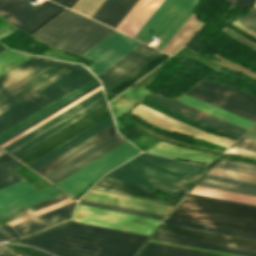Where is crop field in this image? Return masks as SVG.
I'll use <instances>...</instances> for the list:
<instances>
[{
	"instance_id": "crop-field-8",
	"label": "crop field",
	"mask_w": 256,
	"mask_h": 256,
	"mask_svg": "<svg viewBox=\"0 0 256 256\" xmlns=\"http://www.w3.org/2000/svg\"><path fill=\"white\" fill-rule=\"evenodd\" d=\"M186 94L256 122V97L222 83L200 81Z\"/></svg>"
},
{
	"instance_id": "crop-field-2",
	"label": "crop field",
	"mask_w": 256,
	"mask_h": 256,
	"mask_svg": "<svg viewBox=\"0 0 256 256\" xmlns=\"http://www.w3.org/2000/svg\"><path fill=\"white\" fill-rule=\"evenodd\" d=\"M147 237L70 222L20 243L58 256H133Z\"/></svg>"
},
{
	"instance_id": "crop-field-57",
	"label": "crop field",
	"mask_w": 256,
	"mask_h": 256,
	"mask_svg": "<svg viewBox=\"0 0 256 256\" xmlns=\"http://www.w3.org/2000/svg\"><path fill=\"white\" fill-rule=\"evenodd\" d=\"M248 137H252V138H256V129L254 131H252L249 135H247Z\"/></svg>"
},
{
	"instance_id": "crop-field-10",
	"label": "crop field",
	"mask_w": 256,
	"mask_h": 256,
	"mask_svg": "<svg viewBox=\"0 0 256 256\" xmlns=\"http://www.w3.org/2000/svg\"><path fill=\"white\" fill-rule=\"evenodd\" d=\"M72 221L147 235H150L161 222L160 220L80 205L77 206Z\"/></svg>"
},
{
	"instance_id": "crop-field-60",
	"label": "crop field",
	"mask_w": 256,
	"mask_h": 256,
	"mask_svg": "<svg viewBox=\"0 0 256 256\" xmlns=\"http://www.w3.org/2000/svg\"><path fill=\"white\" fill-rule=\"evenodd\" d=\"M255 7H256V5H255Z\"/></svg>"
},
{
	"instance_id": "crop-field-30",
	"label": "crop field",
	"mask_w": 256,
	"mask_h": 256,
	"mask_svg": "<svg viewBox=\"0 0 256 256\" xmlns=\"http://www.w3.org/2000/svg\"><path fill=\"white\" fill-rule=\"evenodd\" d=\"M201 24L202 23H200L192 13L185 23L180 27V29L175 33V35L170 39V41L165 45L162 51L173 55L188 42Z\"/></svg>"
},
{
	"instance_id": "crop-field-21",
	"label": "crop field",
	"mask_w": 256,
	"mask_h": 256,
	"mask_svg": "<svg viewBox=\"0 0 256 256\" xmlns=\"http://www.w3.org/2000/svg\"><path fill=\"white\" fill-rule=\"evenodd\" d=\"M108 115H110L108 107H105L18 160L27 165Z\"/></svg>"
},
{
	"instance_id": "crop-field-50",
	"label": "crop field",
	"mask_w": 256,
	"mask_h": 256,
	"mask_svg": "<svg viewBox=\"0 0 256 256\" xmlns=\"http://www.w3.org/2000/svg\"><path fill=\"white\" fill-rule=\"evenodd\" d=\"M22 0H0V15L2 16Z\"/></svg>"
},
{
	"instance_id": "crop-field-29",
	"label": "crop field",
	"mask_w": 256,
	"mask_h": 256,
	"mask_svg": "<svg viewBox=\"0 0 256 256\" xmlns=\"http://www.w3.org/2000/svg\"><path fill=\"white\" fill-rule=\"evenodd\" d=\"M114 132H116L115 127L114 125H111L108 128L101 131L100 133L96 134L95 136L91 137L90 139L86 140L80 145L76 146L72 150L68 151L67 153L63 154L62 156L58 157L52 162L48 163L44 167L40 169L38 168L39 170L35 172L39 173L42 176L47 174L48 172L52 171L56 167L75 157L79 153L83 152L84 150L88 149L89 147L93 146L94 144L98 143L99 141L103 140L104 138H106L107 136L111 135Z\"/></svg>"
},
{
	"instance_id": "crop-field-3",
	"label": "crop field",
	"mask_w": 256,
	"mask_h": 256,
	"mask_svg": "<svg viewBox=\"0 0 256 256\" xmlns=\"http://www.w3.org/2000/svg\"><path fill=\"white\" fill-rule=\"evenodd\" d=\"M206 168L142 153L103 178L151 187L173 196L175 192L186 194Z\"/></svg>"
},
{
	"instance_id": "crop-field-31",
	"label": "crop field",
	"mask_w": 256,
	"mask_h": 256,
	"mask_svg": "<svg viewBox=\"0 0 256 256\" xmlns=\"http://www.w3.org/2000/svg\"><path fill=\"white\" fill-rule=\"evenodd\" d=\"M148 94L149 92L145 91L143 87L137 90L130 87L109 103L113 117L122 115Z\"/></svg>"
},
{
	"instance_id": "crop-field-37",
	"label": "crop field",
	"mask_w": 256,
	"mask_h": 256,
	"mask_svg": "<svg viewBox=\"0 0 256 256\" xmlns=\"http://www.w3.org/2000/svg\"><path fill=\"white\" fill-rule=\"evenodd\" d=\"M30 57H32V55L8 49L3 51L0 53V75L29 59Z\"/></svg>"
},
{
	"instance_id": "crop-field-49",
	"label": "crop field",
	"mask_w": 256,
	"mask_h": 256,
	"mask_svg": "<svg viewBox=\"0 0 256 256\" xmlns=\"http://www.w3.org/2000/svg\"><path fill=\"white\" fill-rule=\"evenodd\" d=\"M150 241H151V242H156V243H162V244L172 245V246H178V247L188 248V249H194V250L204 251V252H210V253H215V254H220V255L238 256V255H233V254H228V253H222V252H217V251H212V250H206V249H201V248H196V247H190V246H185V245H180V244H174V243H169V242H164V241H158V240H153V239H150Z\"/></svg>"
},
{
	"instance_id": "crop-field-39",
	"label": "crop field",
	"mask_w": 256,
	"mask_h": 256,
	"mask_svg": "<svg viewBox=\"0 0 256 256\" xmlns=\"http://www.w3.org/2000/svg\"><path fill=\"white\" fill-rule=\"evenodd\" d=\"M174 2L175 0H165L163 4L158 8V10L147 21V23L142 27V29L137 33L135 38L142 41Z\"/></svg>"
},
{
	"instance_id": "crop-field-24",
	"label": "crop field",
	"mask_w": 256,
	"mask_h": 256,
	"mask_svg": "<svg viewBox=\"0 0 256 256\" xmlns=\"http://www.w3.org/2000/svg\"><path fill=\"white\" fill-rule=\"evenodd\" d=\"M73 203L15 225L13 228L21 237H24L54 224L65 221L69 218Z\"/></svg>"
},
{
	"instance_id": "crop-field-33",
	"label": "crop field",
	"mask_w": 256,
	"mask_h": 256,
	"mask_svg": "<svg viewBox=\"0 0 256 256\" xmlns=\"http://www.w3.org/2000/svg\"><path fill=\"white\" fill-rule=\"evenodd\" d=\"M93 187L99 188V189L115 191V192H120V193L136 195V196L150 198V199H154V200H156L158 198H160L162 200L165 199L163 197L153 194L149 190V188L130 185V184H124V183H119V182H114V181H109V180H104V179H101Z\"/></svg>"
},
{
	"instance_id": "crop-field-41",
	"label": "crop field",
	"mask_w": 256,
	"mask_h": 256,
	"mask_svg": "<svg viewBox=\"0 0 256 256\" xmlns=\"http://www.w3.org/2000/svg\"><path fill=\"white\" fill-rule=\"evenodd\" d=\"M98 86H100V83L95 84L94 86L90 87L89 89L85 90L84 92L80 93L79 95L75 96L74 98L70 99L69 101L65 102L64 104L60 105L59 107L55 108L54 110L50 111L46 115L42 116L41 118L37 119L36 121L32 122L31 124L27 125L26 127L22 128L21 130L17 131L16 133L7 137L6 139L2 140L0 142V145H2L5 142L9 141L10 139L14 138L15 136L19 135L20 133L24 132L28 128L32 127L33 125L37 124L38 122H40L43 119L47 118L48 116L52 115L53 113L57 112L58 110L62 109L65 106H67L68 104L72 103L76 99L80 98L81 96L85 95L86 93L90 92L91 90L95 89Z\"/></svg>"
},
{
	"instance_id": "crop-field-6",
	"label": "crop field",
	"mask_w": 256,
	"mask_h": 256,
	"mask_svg": "<svg viewBox=\"0 0 256 256\" xmlns=\"http://www.w3.org/2000/svg\"><path fill=\"white\" fill-rule=\"evenodd\" d=\"M105 105L99 90L3 149L17 158Z\"/></svg>"
},
{
	"instance_id": "crop-field-44",
	"label": "crop field",
	"mask_w": 256,
	"mask_h": 256,
	"mask_svg": "<svg viewBox=\"0 0 256 256\" xmlns=\"http://www.w3.org/2000/svg\"><path fill=\"white\" fill-rule=\"evenodd\" d=\"M101 89V87L96 88L95 90L91 91L90 93L86 94L85 96L81 97L80 99L76 100L75 102H73L72 104L68 105L67 107L63 108L62 110L58 111L57 113L53 114L52 116L48 117L47 119L43 120L42 122L38 123L37 125L33 126L32 128L28 129L27 131H25L24 133L20 134L19 136L15 137L14 139L10 140L9 142L5 143L4 145L0 146V147H5L8 144L12 143L13 141L17 140L18 138H20L21 136L25 135L26 133L30 132L31 130L35 129L36 127L40 126L41 124L45 123L46 121L50 120L51 118H53L54 116L58 115L59 113L63 112L64 110L68 109L69 107L73 106L74 104L78 103L79 101L83 100L84 98H86L87 96L91 95L92 93L96 92L97 90ZM98 92V91H97ZM93 95V94H92ZM88 98V97H87Z\"/></svg>"
},
{
	"instance_id": "crop-field-20",
	"label": "crop field",
	"mask_w": 256,
	"mask_h": 256,
	"mask_svg": "<svg viewBox=\"0 0 256 256\" xmlns=\"http://www.w3.org/2000/svg\"><path fill=\"white\" fill-rule=\"evenodd\" d=\"M159 232H165L175 235H181L186 237H192L202 240H208L213 242H219L224 244H230L240 247H246L251 249H256V240L246 239V238H240L225 234H219L209 231H203L193 228H187L177 225H171L163 223L162 226L158 230Z\"/></svg>"
},
{
	"instance_id": "crop-field-58",
	"label": "crop field",
	"mask_w": 256,
	"mask_h": 256,
	"mask_svg": "<svg viewBox=\"0 0 256 256\" xmlns=\"http://www.w3.org/2000/svg\"><path fill=\"white\" fill-rule=\"evenodd\" d=\"M5 49H7V48H5L4 46H2V45L0 44V52L3 51V50H5Z\"/></svg>"
},
{
	"instance_id": "crop-field-42",
	"label": "crop field",
	"mask_w": 256,
	"mask_h": 256,
	"mask_svg": "<svg viewBox=\"0 0 256 256\" xmlns=\"http://www.w3.org/2000/svg\"><path fill=\"white\" fill-rule=\"evenodd\" d=\"M104 1L105 0H78L72 10L91 18Z\"/></svg>"
},
{
	"instance_id": "crop-field-56",
	"label": "crop field",
	"mask_w": 256,
	"mask_h": 256,
	"mask_svg": "<svg viewBox=\"0 0 256 256\" xmlns=\"http://www.w3.org/2000/svg\"><path fill=\"white\" fill-rule=\"evenodd\" d=\"M10 158H12V157L7 155V154H5L3 156H0V162L5 161V160L10 159Z\"/></svg>"
},
{
	"instance_id": "crop-field-36",
	"label": "crop field",
	"mask_w": 256,
	"mask_h": 256,
	"mask_svg": "<svg viewBox=\"0 0 256 256\" xmlns=\"http://www.w3.org/2000/svg\"><path fill=\"white\" fill-rule=\"evenodd\" d=\"M203 196L256 205V197L195 186L191 192Z\"/></svg>"
},
{
	"instance_id": "crop-field-40",
	"label": "crop field",
	"mask_w": 256,
	"mask_h": 256,
	"mask_svg": "<svg viewBox=\"0 0 256 256\" xmlns=\"http://www.w3.org/2000/svg\"><path fill=\"white\" fill-rule=\"evenodd\" d=\"M78 204L101 208V209L112 210V211H117V212H123V213H128V214H133V215H139V216H144V217H149V218H155V219H160V220H163V218H164L163 215L152 214V213H147V212H142V211H136V210L126 209V208H120V207H115V206H110V205H104V204H99V203H94V202L83 201V200H80Z\"/></svg>"
},
{
	"instance_id": "crop-field-13",
	"label": "crop field",
	"mask_w": 256,
	"mask_h": 256,
	"mask_svg": "<svg viewBox=\"0 0 256 256\" xmlns=\"http://www.w3.org/2000/svg\"><path fill=\"white\" fill-rule=\"evenodd\" d=\"M160 51L142 43L99 76L104 92H107Z\"/></svg>"
},
{
	"instance_id": "crop-field-48",
	"label": "crop field",
	"mask_w": 256,
	"mask_h": 256,
	"mask_svg": "<svg viewBox=\"0 0 256 256\" xmlns=\"http://www.w3.org/2000/svg\"><path fill=\"white\" fill-rule=\"evenodd\" d=\"M17 238L20 237L15 233V231L11 227H0V241H6Z\"/></svg>"
},
{
	"instance_id": "crop-field-47",
	"label": "crop field",
	"mask_w": 256,
	"mask_h": 256,
	"mask_svg": "<svg viewBox=\"0 0 256 256\" xmlns=\"http://www.w3.org/2000/svg\"><path fill=\"white\" fill-rule=\"evenodd\" d=\"M235 148L256 152V139L245 137L241 140Z\"/></svg>"
},
{
	"instance_id": "crop-field-15",
	"label": "crop field",
	"mask_w": 256,
	"mask_h": 256,
	"mask_svg": "<svg viewBox=\"0 0 256 256\" xmlns=\"http://www.w3.org/2000/svg\"><path fill=\"white\" fill-rule=\"evenodd\" d=\"M199 0H176L144 41L150 42L154 35L161 38L158 48L162 49L173 34L179 29L189 15L194 11Z\"/></svg>"
},
{
	"instance_id": "crop-field-51",
	"label": "crop field",
	"mask_w": 256,
	"mask_h": 256,
	"mask_svg": "<svg viewBox=\"0 0 256 256\" xmlns=\"http://www.w3.org/2000/svg\"><path fill=\"white\" fill-rule=\"evenodd\" d=\"M226 154H232V155H237V156H242V157H247V158H252L256 159V153L248 152V151H243L235 148L228 149Z\"/></svg>"
},
{
	"instance_id": "crop-field-59",
	"label": "crop field",
	"mask_w": 256,
	"mask_h": 256,
	"mask_svg": "<svg viewBox=\"0 0 256 256\" xmlns=\"http://www.w3.org/2000/svg\"><path fill=\"white\" fill-rule=\"evenodd\" d=\"M3 154H5V153H4L3 151H1V150H0V155H3Z\"/></svg>"
},
{
	"instance_id": "crop-field-12",
	"label": "crop field",
	"mask_w": 256,
	"mask_h": 256,
	"mask_svg": "<svg viewBox=\"0 0 256 256\" xmlns=\"http://www.w3.org/2000/svg\"><path fill=\"white\" fill-rule=\"evenodd\" d=\"M62 193L51 186L37 192L25 180L0 189V217Z\"/></svg>"
},
{
	"instance_id": "crop-field-32",
	"label": "crop field",
	"mask_w": 256,
	"mask_h": 256,
	"mask_svg": "<svg viewBox=\"0 0 256 256\" xmlns=\"http://www.w3.org/2000/svg\"><path fill=\"white\" fill-rule=\"evenodd\" d=\"M138 256H220L148 242Z\"/></svg>"
},
{
	"instance_id": "crop-field-35",
	"label": "crop field",
	"mask_w": 256,
	"mask_h": 256,
	"mask_svg": "<svg viewBox=\"0 0 256 256\" xmlns=\"http://www.w3.org/2000/svg\"><path fill=\"white\" fill-rule=\"evenodd\" d=\"M97 82L99 81L96 78L91 80L90 82L86 83L85 85L81 86L80 88L76 89L70 94L64 96L63 98L59 99L58 101L54 102L53 104L49 105L48 107L44 108L43 110L29 117L28 119L24 120L18 125L2 133L0 135V141L6 138L7 136L11 135L12 133L16 132L17 130L21 129L22 127L26 126L27 124L31 123L32 121L36 120L37 118L41 117L42 115L46 114L47 112L54 109L55 107L59 106L60 104L64 103L65 101L69 100L70 98L74 97L75 95L79 94L80 92L84 91L85 89L89 88L90 86L94 85Z\"/></svg>"
},
{
	"instance_id": "crop-field-9",
	"label": "crop field",
	"mask_w": 256,
	"mask_h": 256,
	"mask_svg": "<svg viewBox=\"0 0 256 256\" xmlns=\"http://www.w3.org/2000/svg\"><path fill=\"white\" fill-rule=\"evenodd\" d=\"M137 153L130 144L124 142L54 185L73 197L85 190L93 180Z\"/></svg>"
},
{
	"instance_id": "crop-field-28",
	"label": "crop field",
	"mask_w": 256,
	"mask_h": 256,
	"mask_svg": "<svg viewBox=\"0 0 256 256\" xmlns=\"http://www.w3.org/2000/svg\"><path fill=\"white\" fill-rule=\"evenodd\" d=\"M173 100L178 101L180 103H183L185 105H188L190 107H193L195 109H198L200 111H203L205 113H208L210 115H213L215 117H218L220 119H223V120H225L227 122H230V123H232L234 125L242 127V128H244L246 130H248L253 125H255V123H253V122H250V121H248L246 119H243V118L238 117V116H236L234 114L226 112V111H224L222 109L214 107V106H212L210 104L202 102V101H200L198 99L190 97V96H188L186 94H183V95H181V96H179V97H177V98H175Z\"/></svg>"
},
{
	"instance_id": "crop-field-14",
	"label": "crop field",
	"mask_w": 256,
	"mask_h": 256,
	"mask_svg": "<svg viewBox=\"0 0 256 256\" xmlns=\"http://www.w3.org/2000/svg\"><path fill=\"white\" fill-rule=\"evenodd\" d=\"M132 113H134L138 117L144 119L145 121H147L155 126H158V127H161V128L173 131V132L197 137V138L204 139V140L214 142V143H217L220 145H224L227 147H229L231 144H233L235 142V140H231L228 138H224L221 136H217L214 134L204 132L202 130H199L190 125H187L185 123H182L180 121L172 119L168 116H165L163 114H160L158 112L150 110L141 105H139L135 109H133Z\"/></svg>"
},
{
	"instance_id": "crop-field-38",
	"label": "crop field",
	"mask_w": 256,
	"mask_h": 256,
	"mask_svg": "<svg viewBox=\"0 0 256 256\" xmlns=\"http://www.w3.org/2000/svg\"><path fill=\"white\" fill-rule=\"evenodd\" d=\"M19 164L21 163L14 158L0 163V188L23 180L22 177L14 172L15 170L11 169Z\"/></svg>"
},
{
	"instance_id": "crop-field-52",
	"label": "crop field",
	"mask_w": 256,
	"mask_h": 256,
	"mask_svg": "<svg viewBox=\"0 0 256 256\" xmlns=\"http://www.w3.org/2000/svg\"><path fill=\"white\" fill-rule=\"evenodd\" d=\"M235 5L244 6L250 8L253 0H227Z\"/></svg>"
},
{
	"instance_id": "crop-field-4",
	"label": "crop field",
	"mask_w": 256,
	"mask_h": 256,
	"mask_svg": "<svg viewBox=\"0 0 256 256\" xmlns=\"http://www.w3.org/2000/svg\"><path fill=\"white\" fill-rule=\"evenodd\" d=\"M170 219L256 234V206L189 194Z\"/></svg>"
},
{
	"instance_id": "crop-field-27",
	"label": "crop field",
	"mask_w": 256,
	"mask_h": 256,
	"mask_svg": "<svg viewBox=\"0 0 256 256\" xmlns=\"http://www.w3.org/2000/svg\"><path fill=\"white\" fill-rule=\"evenodd\" d=\"M137 1L138 0H106L92 19L115 28Z\"/></svg>"
},
{
	"instance_id": "crop-field-55",
	"label": "crop field",
	"mask_w": 256,
	"mask_h": 256,
	"mask_svg": "<svg viewBox=\"0 0 256 256\" xmlns=\"http://www.w3.org/2000/svg\"><path fill=\"white\" fill-rule=\"evenodd\" d=\"M75 0H54V2H57V3H59V4H62V5H64V6H66V7H70L71 6V4L74 2Z\"/></svg>"
},
{
	"instance_id": "crop-field-11",
	"label": "crop field",
	"mask_w": 256,
	"mask_h": 256,
	"mask_svg": "<svg viewBox=\"0 0 256 256\" xmlns=\"http://www.w3.org/2000/svg\"><path fill=\"white\" fill-rule=\"evenodd\" d=\"M140 43L135 39L115 31L85 53L83 57L95 61L87 68L97 76Z\"/></svg>"
},
{
	"instance_id": "crop-field-26",
	"label": "crop field",
	"mask_w": 256,
	"mask_h": 256,
	"mask_svg": "<svg viewBox=\"0 0 256 256\" xmlns=\"http://www.w3.org/2000/svg\"><path fill=\"white\" fill-rule=\"evenodd\" d=\"M152 238L158 239V240L174 242V243L190 245V246L206 248V249H212V250H217V251H222V252H228V253H233V254H238V255L256 256V250L240 248V247H235V246H230V245H224V244H219V243H213V242H208V241H202V240L186 238V237H181V236H175V235H170V234H165V233L156 232Z\"/></svg>"
},
{
	"instance_id": "crop-field-5",
	"label": "crop field",
	"mask_w": 256,
	"mask_h": 256,
	"mask_svg": "<svg viewBox=\"0 0 256 256\" xmlns=\"http://www.w3.org/2000/svg\"><path fill=\"white\" fill-rule=\"evenodd\" d=\"M113 31L66 9L31 35L58 50L81 56Z\"/></svg>"
},
{
	"instance_id": "crop-field-53",
	"label": "crop field",
	"mask_w": 256,
	"mask_h": 256,
	"mask_svg": "<svg viewBox=\"0 0 256 256\" xmlns=\"http://www.w3.org/2000/svg\"><path fill=\"white\" fill-rule=\"evenodd\" d=\"M233 25H235L236 27H238L239 29L243 30L244 32H246L247 34L251 35L252 37L256 38V33L253 32L252 30L248 29L247 27L241 25L240 23L238 22H233L231 23Z\"/></svg>"
},
{
	"instance_id": "crop-field-22",
	"label": "crop field",
	"mask_w": 256,
	"mask_h": 256,
	"mask_svg": "<svg viewBox=\"0 0 256 256\" xmlns=\"http://www.w3.org/2000/svg\"><path fill=\"white\" fill-rule=\"evenodd\" d=\"M164 0H139L116 29L135 36Z\"/></svg>"
},
{
	"instance_id": "crop-field-19",
	"label": "crop field",
	"mask_w": 256,
	"mask_h": 256,
	"mask_svg": "<svg viewBox=\"0 0 256 256\" xmlns=\"http://www.w3.org/2000/svg\"><path fill=\"white\" fill-rule=\"evenodd\" d=\"M148 100L155 102L159 105H162L168 109H171L175 112H178L180 114H183L187 117H190L192 119H195L197 121H200L204 124H207L209 126H212L216 129H219L221 131H224L226 133H229L233 136H236L238 138H240L241 136H243L245 133H247V131L242 130L238 127H235L233 125H230L226 122H223L222 120L215 118L213 116H210L208 114H205L203 112H200L198 110H195L193 108H190L188 106H185L183 104H180L178 102H175L173 100L170 99H166L162 96L159 95H155V94H151L150 97L148 98Z\"/></svg>"
},
{
	"instance_id": "crop-field-45",
	"label": "crop field",
	"mask_w": 256,
	"mask_h": 256,
	"mask_svg": "<svg viewBox=\"0 0 256 256\" xmlns=\"http://www.w3.org/2000/svg\"><path fill=\"white\" fill-rule=\"evenodd\" d=\"M66 198H68V196H66L64 193H62V194H60V195H57V196L52 197V198H49V199L44 200V201H42V202H39V203H37V204L31 205V206L27 207L26 209H23V211H24L26 214H28V213H30V212H33V211H35V210H38V209L43 208V207H45V206L51 205V204H53V203H56V202H58V201H61V200H63V199H66Z\"/></svg>"
},
{
	"instance_id": "crop-field-18",
	"label": "crop field",
	"mask_w": 256,
	"mask_h": 256,
	"mask_svg": "<svg viewBox=\"0 0 256 256\" xmlns=\"http://www.w3.org/2000/svg\"><path fill=\"white\" fill-rule=\"evenodd\" d=\"M123 141H125V139L116 132L73 160L43 177L54 184Z\"/></svg>"
},
{
	"instance_id": "crop-field-34",
	"label": "crop field",
	"mask_w": 256,
	"mask_h": 256,
	"mask_svg": "<svg viewBox=\"0 0 256 256\" xmlns=\"http://www.w3.org/2000/svg\"><path fill=\"white\" fill-rule=\"evenodd\" d=\"M168 57H169L168 55H166L162 52L159 53L157 56H155L153 59H151L145 65L140 67L138 70H136L130 76H128L126 79L121 81L119 84H117L111 90H109L107 93L114 94V95L120 94L122 91H124L126 88H128L130 85H132L134 82H136L138 79H140L142 76H144L146 73H148L150 70H152L154 67H156L158 64H160L162 61H164Z\"/></svg>"
},
{
	"instance_id": "crop-field-7",
	"label": "crop field",
	"mask_w": 256,
	"mask_h": 256,
	"mask_svg": "<svg viewBox=\"0 0 256 256\" xmlns=\"http://www.w3.org/2000/svg\"><path fill=\"white\" fill-rule=\"evenodd\" d=\"M197 185L256 196V165L219 159Z\"/></svg>"
},
{
	"instance_id": "crop-field-43",
	"label": "crop field",
	"mask_w": 256,
	"mask_h": 256,
	"mask_svg": "<svg viewBox=\"0 0 256 256\" xmlns=\"http://www.w3.org/2000/svg\"><path fill=\"white\" fill-rule=\"evenodd\" d=\"M165 222L166 223L177 224V225H182V226L198 228V229L214 231V232H220V233H225V234H230V235H236V236H241V237H246V238L256 239V235H250V234L234 232V231H229V230H224V229H218V228H213V227H208V226H202V225H197V224H192V223H186V222H181V221H176V220L167 219Z\"/></svg>"
},
{
	"instance_id": "crop-field-16",
	"label": "crop field",
	"mask_w": 256,
	"mask_h": 256,
	"mask_svg": "<svg viewBox=\"0 0 256 256\" xmlns=\"http://www.w3.org/2000/svg\"><path fill=\"white\" fill-rule=\"evenodd\" d=\"M83 200L167 215L172 206L163 202L90 189Z\"/></svg>"
},
{
	"instance_id": "crop-field-17",
	"label": "crop field",
	"mask_w": 256,
	"mask_h": 256,
	"mask_svg": "<svg viewBox=\"0 0 256 256\" xmlns=\"http://www.w3.org/2000/svg\"><path fill=\"white\" fill-rule=\"evenodd\" d=\"M31 1H22L2 17L14 26L30 33L64 8L47 1L33 12L24 7Z\"/></svg>"
},
{
	"instance_id": "crop-field-25",
	"label": "crop field",
	"mask_w": 256,
	"mask_h": 256,
	"mask_svg": "<svg viewBox=\"0 0 256 256\" xmlns=\"http://www.w3.org/2000/svg\"><path fill=\"white\" fill-rule=\"evenodd\" d=\"M144 152L205 164H209L218 157L217 155L194 151L162 142Z\"/></svg>"
},
{
	"instance_id": "crop-field-1",
	"label": "crop field",
	"mask_w": 256,
	"mask_h": 256,
	"mask_svg": "<svg viewBox=\"0 0 256 256\" xmlns=\"http://www.w3.org/2000/svg\"><path fill=\"white\" fill-rule=\"evenodd\" d=\"M93 78L81 65L37 56L1 75L0 134Z\"/></svg>"
},
{
	"instance_id": "crop-field-54",
	"label": "crop field",
	"mask_w": 256,
	"mask_h": 256,
	"mask_svg": "<svg viewBox=\"0 0 256 256\" xmlns=\"http://www.w3.org/2000/svg\"><path fill=\"white\" fill-rule=\"evenodd\" d=\"M0 256H18L11 251L7 250L6 248L0 246Z\"/></svg>"
},
{
	"instance_id": "crop-field-46",
	"label": "crop field",
	"mask_w": 256,
	"mask_h": 256,
	"mask_svg": "<svg viewBox=\"0 0 256 256\" xmlns=\"http://www.w3.org/2000/svg\"><path fill=\"white\" fill-rule=\"evenodd\" d=\"M256 32V8L245 17L236 20Z\"/></svg>"
},
{
	"instance_id": "crop-field-23",
	"label": "crop field",
	"mask_w": 256,
	"mask_h": 256,
	"mask_svg": "<svg viewBox=\"0 0 256 256\" xmlns=\"http://www.w3.org/2000/svg\"><path fill=\"white\" fill-rule=\"evenodd\" d=\"M111 124H113L111 116H108L27 166L35 171Z\"/></svg>"
}]
</instances>
